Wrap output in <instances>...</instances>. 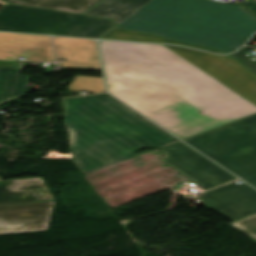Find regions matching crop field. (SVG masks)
<instances>
[{"instance_id":"crop-field-2","label":"crop field","mask_w":256,"mask_h":256,"mask_svg":"<svg viewBox=\"0 0 256 256\" xmlns=\"http://www.w3.org/2000/svg\"><path fill=\"white\" fill-rule=\"evenodd\" d=\"M118 26L230 52L256 31V19L228 3L151 0Z\"/></svg>"},{"instance_id":"crop-field-20","label":"crop field","mask_w":256,"mask_h":256,"mask_svg":"<svg viewBox=\"0 0 256 256\" xmlns=\"http://www.w3.org/2000/svg\"><path fill=\"white\" fill-rule=\"evenodd\" d=\"M231 224L249 236L256 238V215Z\"/></svg>"},{"instance_id":"crop-field-7","label":"crop field","mask_w":256,"mask_h":256,"mask_svg":"<svg viewBox=\"0 0 256 256\" xmlns=\"http://www.w3.org/2000/svg\"><path fill=\"white\" fill-rule=\"evenodd\" d=\"M165 47L256 105V75L236 60L184 47Z\"/></svg>"},{"instance_id":"crop-field-13","label":"crop field","mask_w":256,"mask_h":256,"mask_svg":"<svg viewBox=\"0 0 256 256\" xmlns=\"http://www.w3.org/2000/svg\"><path fill=\"white\" fill-rule=\"evenodd\" d=\"M54 200L42 178L0 181V205Z\"/></svg>"},{"instance_id":"crop-field-21","label":"crop field","mask_w":256,"mask_h":256,"mask_svg":"<svg viewBox=\"0 0 256 256\" xmlns=\"http://www.w3.org/2000/svg\"><path fill=\"white\" fill-rule=\"evenodd\" d=\"M250 47L244 46L242 49H240L237 53L231 54L230 56H233L237 58L240 62H242L246 67L252 69L254 72H256V63L250 60L244 53L248 51Z\"/></svg>"},{"instance_id":"crop-field-12","label":"crop field","mask_w":256,"mask_h":256,"mask_svg":"<svg viewBox=\"0 0 256 256\" xmlns=\"http://www.w3.org/2000/svg\"><path fill=\"white\" fill-rule=\"evenodd\" d=\"M156 84L200 112L241 98L230 89L160 83Z\"/></svg>"},{"instance_id":"crop-field-4","label":"crop field","mask_w":256,"mask_h":256,"mask_svg":"<svg viewBox=\"0 0 256 256\" xmlns=\"http://www.w3.org/2000/svg\"><path fill=\"white\" fill-rule=\"evenodd\" d=\"M106 78L227 88L163 45L99 41Z\"/></svg>"},{"instance_id":"crop-field-14","label":"crop field","mask_w":256,"mask_h":256,"mask_svg":"<svg viewBox=\"0 0 256 256\" xmlns=\"http://www.w3.org/2000/svg\"><path fill=\"white\" fill-rule=\"evenodd\" d=\"M55 57L67 58V62L99 63L95 41L53 37Z\"/></svg>"},{"instance_id":"crop-field-11","label":"crop field","mask_w":256,"mask_h":256,"mask_svg":"<svg viewBox=\"0 0 256 256\" xmlns=\"http://www.w3.org/2000/svg\"><path fill=\"white\" fill-rule=\"evenodd\" d=\"M53 61L50 37L0 32V59L16 61Z\"/></svg>"},{"instance_id":"crop-field-17","label":"crop field","mask_w":256,"mask_h":256,"mask_svg":"<svg viewBox=\"0 0 256 256\" xmlns=\"http://www.w3.org/2000/svg\"><path fill=\"white\" fill-rule=\"evenodd\" d=\"M11 4L83 14L101 0H4Z\"/></svg>"},{"instance_id":"crop-field-6","label":"crop field","mask_w":256,"mask_h":256,"mask_svg":"<svg viewBox=\"0 0 256 256\" xmlns=\"http://www.w3.org/2000/svg\"><path fill=\"white\" fill-rule=\"evenodd\" d=\"M112 27V20L11 4L0 11V31L98 38Z\"/></svg>"},{"instance_id":"crop-field-25","label":"crop field","mask_w":256,"mask_h":256,"mask_svg":"<svg viewBox=\"0 0 256 256\" xmlns=\"http://www.w3.org/2000/svg\"><path fill=\"white\" fill-rule=\"evenodd\" d=\"M0 3H3V4H5V5H7L6 3H4V2H3V1H1V0H0Z\"/></svg>"},{"instance_id":"crop-field-8","label":"crop field","mask_w":256,"mask_h":256,"mask_svg":"<svg viewBox=\"0 0 256 256\" xmlns=\"http://www.w3.org/2000/svg\"><path fill=\"white\" fill-rule=\"evenodd\" d=\"M161 150L164 163L206 190L237 179L181 142Z\"/></svg>"},{"instance_id":"crop-field-9","label":"crop field","mask_w":256,"mask_h":256,"mask_svg":"<svg viewBox=\"0 0 256 256\" xmlns=\"http://www.w3.org/2000/svg\"><path fill=\"white\" fill-rule=\"evenodd\" d=\"M54 202L1 205L0 234L47 230Z\"/></svg>"},{"instance_id":"crop-field-15","label":"crop field","mask_w":256,"mask_h":256,"mask_svg":"<svg viewBox=\"0 0 256 256\" xmlns=\"http://www.w3.org/2000/svg\"><path fill=\"white\" fill-rule=\"evenodd\" d=\"M148 1L150 0H105L86 14L112 18L117 25Z\"/></svg>"},{"instance_id":"crop-field-22","label":"crop field","mask_w":256,"mask_h":256,"mask_svg":"<svg viewBox=\"0 0 256 256\" xmlns=\"http://www.w3.org/2000/svg\"><path fill=\"white\" fill-rule=\"evenodd\" d=\"M238 6L256 18V0H247Z\"/></svg>"},{"instance_id":"crop-field-24","label":"crop field","mask_w":256,"mask_h":256,"mask_svg":"<svg viewBox=\"0 0 256 256\" xmlns=\"http://www.w3.org/2000/svg\"><path fill=\"white\" fill-rule=\"evenodd\" d=\"M3 7H5V5H3V4H0V10H1Z\"/></svg>"},{"instance_id":"crop-field-1","label":"crop field","mask_w":256,"mask_h":256,"mask_svg":"<svg viewBox=\"0 0 256 256\" xmlns=\"http://www.w3.org/2000/svg\"><path fill=\"white\" fill-rule=\"evenodd\" d=\"M108 95L64 99L72 159L82 174L179 142Z\"/></svg>"},{"instance_id":"crop-field-19","label":"crop field","mask_w":256,"mask_h":256,"mask_svg":"<svg viewBox=\"0 0 256 256\" xmlns=\"http://www.w3.org/2000/svg\"><path fill=\"white\" fill-rule=\"evenodd\" d=\"M86 90L91 93L105 92L102 78L76 76L74 81L68 86V91Z\"/></svg>"},{"instance_id":"crop-field-26","label":"crop field","mask_w":256,"mask_h":256,"mask_svg":"<svg viewBox=\"0 0 256 256\" xmlns=\"http://www.w3.org/2000/svg\"><path fill=\"white\" fill-rule=\"evenodd\" d=\"M255 36H256V35H255ZM255 36H254V37H255Z\"/></svg>"},{"instance_id":"crop-field-16","label":"crop field","mask_w":256,"mask_h":256,"mask_svg":"<svg viewBox=\"0 0 256 256\" xmlns=\"http://www.w3.org/2000/svg\"><path fill=\"white\" fill-rule=\"evenodd\" d=\"M21 70L0 69V105L25 96L31 77L21 76Z\"/></svg>"},{"instance_id":"crop-field-18","label":"crop field","mask_w":256,"mask_h":256,"mask_svg":"<svg viewBox=\"0 0 256 256\" xmlns=\"http://www.w3.org/2000/svg\"><path fill=\"white\" fill-rule=\"evenodd\" d=\"M101 38L125 40V41H141V42H156V43H164V44H177V45H184V46H188V47H192V48H197V49H201V50L219 53L216 51H212V50H208V49H204V48H200V47H196V46H192V45L181 44V43H178L175 41L158 38L156 36L143 35V34H139L137 32L123 31L117 27H115L112 31H110L108 34H106L105 36H103Z\"/></svg>"},{"instance_id":"crop-field-10","label":"crop field","mask_w":256,"mask_h":256,"mask_svg":"<svg viewBox=\"0 0 256 256\" xmlns=\"http://www.w3.org/2000/svg\"><path fill=\"white\" fill-rule=\"evenodd\" d=\"M201 198L205 206L220 211L234 221L256 214V190L242 183L232 182L205 192Z\"/></svg>"},{"instance_id":"crop-field-23","label":"crop field","mask_w":256,"mask_h":256,"mask_svg":"<svg viewBox=\"0 0 256 256\" xmlns=\"http://www.w3.org/2000/svg\"><path fill=\"white\" fill-rule=\"evenodd\" d=\"M63 68L101 70L99 65L63 63Z\"/></svg>"},{"instance_id":"crop-field-5","label":"crop field","mask_w":256,"mask_h":256,"mask_svg":"<svg viewBox=\"0 0 256 256\" xmlns=\"http://www.w3.org/2000/svg\"><path fill=\"white\" fill-rule=\"evenodd\" d=\"M184 141L256 187V115Z\"/></svg>"},{"instance_id":"crop-field-3","label":"crop field","mask_w":256,"mask_h":256,"mask_svg":"<svg viewBox=\"0 0 256 256\" xmlns=\"http://www.w3.org/2000/svg\"><path fill=\"white\" fill-rule=\"evenodd\" d=\"M107 84L110 93L182 139L256 113L245 98L200 113L154 83L107 79Z\"/></svg>"}]
</instances>
